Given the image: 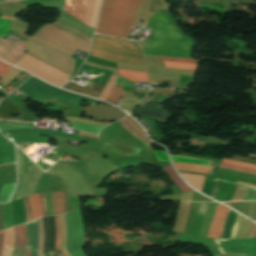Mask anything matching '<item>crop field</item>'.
Listing matches in <instances>:
<instances>
[{"label": "crop field", "instance_id": "5142ce71", "mask_svg": "<svg viewBox=\"0 0 256 256\" xmlns=\"http://www.w3.org/2000/svg\"><path fill=\"white\" fill-rule=\"evenodd\" d=\"M10 135H18V134H45V135H53L65 139H76L79 140V138L76 135L61 132V131H54V130H35V129H18V130H11V131H5ZM80 141V140H79Z\"/></svg>", "mask_w": 256, "mask_h": 256}, {"label": "crop field", "instance_id": "d23c7cc5", "mask_svg": "<svg viewBox=\"0 0 256 256\" xmlns=\"http://www.w3.org/2000/svg\"><path fill=\"white\" fill-rule=\"evenodd\" d=\"M239 217H240V215H237L236 220H235V223H234V226H233L231 239H235V230H236V226H237Z\"/></svg>", "mask_w": 256, "mask_h": 256}, {"label": "crop field", "instance_id": "1d83c4d3", "mask_svg": "<svg viewBox=\"0 0 256 256\" xmlns=\"http://www.w3.org/2000/svg\"><path fill=\"white\" fill-rule=\"evenodd\" d=\"M56 221V243H55V251L58 256H64L61 251L59 250V243H60V218L59 215L55 216Z\"/></svg>", "mask_w": 256, "mask_h": 256}, {"label": "crop field", "instance_id": "028f5c9d", "mask_svg": "<svg viewBox=\"0 0 256 256\" xmlns=\"http://www.w3.org/2000/svg\"><path fill=\"white\" fill-rule=\"evenodd\" d=\"M220 167L256 174V171L244 169V168H240V167H235V166H231V165H227V164H223V163H221Z\"/></svg>", "mask_w": 256, "mask_h": 256}, {"label": "crop field", "instance_id": "4177f3b9", "mask_svg": "<svg viewBox=\"0 0 256 256\" xmlns=\"http://www.w3.org/2000/svg\"><path fill=\"white\" fill-rule=\"evenodd\" d=\"M165 170L167 171V173L170 175V177L172 178V180L175 182V184L178 186V188L182 191H191L190 188H188L182 181L181 179L178 177V175L175 173V171L172 169L171 165L165 167Z\"/></svg>", "mask_w": 256, "mask_h": 256}, {"label": "crop field", "instance_id": "1d79db26", "mask_svg": "<svg viewBox=\"0 0 256 256\" xmlns=\"http://www.w3.org/2000/svg\"><path fill=\"white\" fill-rule=\"evenodd\" d=\"M245 256H256V254H245Z\"/></svg>", "mask_w": 256, "mask_h": 256}, {"label": "crop field", "instance_id": "e52e79f7", "mask_svg": "<svg viewBox=\"0 0 256 256\" xmlns=\"http://www.w3.org/2000/svg\"><path fill=\"white\" fill-rule=\"evenodd\" d=\"M29 54L32 56L68 73H71L74 70V59L69 58L61 53H58L48 47L37 44L33 41H29L28 48Z\"/></svg>", "mask_w": 256, "mask_h": 256}, {"label": "crop field", "instance_id": "c21b1889", "mask_svg": "<svg viewBox=\"0 0 256 256\" xmlns=\"http://www.w3.org/2000/svg\"><path fill=\"white\" fill-rule=\"evenodd\" d=\"M244 200H256V191L248 189Z\"/></svg>", "mask_w": 256, "mask_h": 256}, {"label": "crop field", "instance_id": "34b2d1b8", "mask_svg": "<svg viewBox=\"0 0 256 256\" xmlns=\"http://www.w3.org/2000/svg\"><path fill=\"white\" fill-rule=\"evenodd\" d=\"M92 56L115 63L144 66L141 49L135 42L95 35Z\"/></svg>", "mask_w": 256, "mask_h": 256}, {"label": "crop field", "instance_id": "0fb4a251", "mask_svg": "<svg viewBox=\"0 0 256 256\" xmlns=\"http://www.w3.org/2000/svg\"><path fill=\"white\" fill-rule=\"evenodd\" d=\"M178 172H182V171H178ZM182 173H190V172H182ZM190 174H197V173H190ZM200 175H205V174H200Z\"/></svg>", "mask_w": 256, "mask_h": 256}, {"label": "crop field", "instance_id": "5866460e", "mask_svg": "<svg viewBox=\"0 0 256 256\" xmlns=\"http://www.w3.org/2000/svg\"><path fill=\"white\" fill-rule=\"evenodd\" d=\"M224 163H228V164H232V165H236V166H240V167H246V168H252V169H256V165H252V164H246V163H240V162H235L233 160H228V159H223Z\"/></svg>", "mask_w": 256, "mask_h": 256}, {"label": "crop field", "instance_id": "bc2a9ffb", "mask_svg": "<svg viewBox=\"0 0 256 256\" xmlns=\"http://www.w3.org/2000/svg\"><path fill=\"white\" fill-rule=\"evenodd\" d=\"M177 170L212 174L213 167L173 162Z\"/></svg>", "mask_w": 256, "mask_h": 256}, {"label": "crop field", "instance_id": "e1f06a70", "mask_svg": "<svg viewBox=\"0 0 256 256\" xmlns=\"http://www.w3.org/2000/svg\"><path fill=\"white\" fill-rule=\"evenodd\" d=\"M117 123H120L124 129L133 134L135 137L141 139V137L123 119L117 121Z\"/></svg>", "mask_w": 256, "mask_h": 256}, {"label": "crop field", "instance_id": "120bbe31", "mask_svg": "<svg viewBox=\"0 0 256 256\" xmlns=\"http://www.w3.org/2000/svg\"><path fill=\"white\" fill-rule=\"evenodd\" d=\"M20 72H21V70H16V69L13 68L7 75H5V76L0 80V82L6 86V85H7L13 78H15Z\"/></svg>", "mask_w": 256, "mask_h": 256}, {"label": "crop field", "instance_id": "412701ff", "mask_svg": "<svg viewBox=\"0 0 256 256\" xmlns=\"http://www.w3.org/2000/svg\"><path fill=\"white\" fill-rule=\"evenodd\" d=\"M31 40L69 57L77 50L88 52L90 43L51 24L42 27Z\"/></svg>", "mask_w": 256, "mask_h": 256}, {"label": "crop field", "instance_id": "f4fd0767", "mask_svg": "<svg viewBox=\"0 0 256 256\" xmlns=\"http://www.w3.org/2000/svg\"><path fill=\"white\" fill-rule=\"evenodd\" d=\"M18 90L27 93L26 97L29 98H56L63 99L71 103L79 104L82 96L67 93L59 90L55 87L47 85L33 77H31L26 83H24Z\"/></svg>", "mask_w": 256, "mask_h": 256}, {"label": "crop field", "instance_id": "eef30255", "mask_svg": "<svg viewBox=\"0 0 256 256\" xmlns=\"http://www.w3.org/2000/svg\"><path fill=\"white\" fill-rule=\"evenodd\" d=\"M72 127L73 128H77V129H81V130H86V131L98 133L99 130L103 126H99V125H95V124H91V123H85V122L76 121Z\"/></svg>", "mask_w": 256, "mask_h": 256}, {"label": "crop field", "instance_id": "425ffa30", "mask_svg": "<svg viewBox=\"0 0 256 256\" xmlns=\"http://www.w3.org/2000/svg\"><path fill=\"white\" fill-rule=\"evenodd\" d=\"M64 207H65V213L68 212L69 206H68V197L66 193H64Z\"/></svg>", "mask_w": 256, "mask_h": 256}, {"label": "crop field", "instance_id": "5a996713", "mask_svg": "<svg viewBox=\"0 0 256 256\" xmlns=\"http://www.w3.org/2000/svg\"><path fill=\"white\" fill-rule=\"evenodd\" d=\"M87 0H65L63 11L82 21ZM101 0H89L84 21L87 26L95 25L96 17L99 11Z\"/></svg>", "mask_w": 256, "mask_h": 256}, {"label": "crop field", "instance_id": "00972430", "mask_svg": "<svg viewBox=\"0 0 256 256\" xmlns=\"http://www.w3.org/2000/svg\"><path fill=\"white\" fill-rule=\"evenodd\" d=\"M121 76L131 80V81H144L148 82L147 74L142 72H134V71H124L119 70Z\"/></svg>", "mask_w": 256, "mask_h": 256}, {"label": "crop field", "instance_id": "d32e631a", "mask_svg": "<svg viewBox=\"0 0 256 256\" xmlns=\"http://www.w3.org/2000/svg\"><path fill=\"white\" fill-rule=\"evenodd\" d=\"M12 21L0 19V35L5 36Z\"/></svg>", "mask_w": 256, "mask_h": 256}, {"label": "crop field", "instance_id": "ae1a2a85", "mask_svg": "<svg viewBox=\"0 0 256 256\" xmlns=\"http://www.w3.org/2000/svg\"><path fill=\"white\" fill-rule=\"evenodd\" d=\"M182 177L188 181L192 187L196 188V189H200V185H201V181H202V178L203 176H199V175H190V174H182ZM205 178V177H204ZM203 182H204V179L202 181V185H203ZM201 185V187H202ZM201 190V189H200Z\"/></svg>", "mask_w": 256, "mask_h": 256}, {"label": "crop field", "instance_id": "1f2cbd36", "mask_svg": "<svg viewBox=\"0 0 256 256\" xmlns=\"http://www.w3.org/2000/svg\"><path fill=\"white\" fill-rule=\"evenodd\" d=\"M255 224H252V227H251V231H250V234H249V237L248 238H252V234H253V231L255 229Z\"/></svg>", "mask_w": 256, "mask_h": 256}, {"label": "crop field", "instance_id": "447ae74e", "mask_svg": "<svg viewBox=\"0 0 256 256\" xmlns=\"http://www.w3.org/2000/svg\"><path fill=\"white\" fill-rule=\"evenodd\" d=\"M7 1H13V0H7Z\"/></svg>", "mask_w": 256, "mask_h": 256}, {"label": "crop field", "instance_id": "d1516ede", "mask_svg": "<svg viewBox=\"0 0 256 256\" xmlns=\"http://www.w3.org/2000/svg\"><path fill=\"white\" fill-rule=\"evenodd\" d=\"M43 172L44 171H42L35 165L34 162H32L15 200L33 193Z\"/></svg>", "mask_w": 256, "mask_h": 256}, {"label": "crop field", "instance_id": "4a817a6b", "mask_svg": "<svg viewBox=\"0 0 256 256\" xmlns=\"http://www.w3.org/2000/svg\"><path fill=\"white\" fill-rule=\"evenodd\" d=\"M144 54L190 59L192 52L159 50V49L144 47Z\"/></svg>", "mask_w": 256, "mask_h": 256}, {"label": "crop field", "instance_id": "750c4746", "mask_svg": "<svg viewBox=\"0 0 256 256\" xmlns=\"http://www.w3.org/2000/svg\"><path fill=\"white\" fill-rule=\"evenodd\" d=\"M15 184L4 185L1 193H0V203H5L9 201L11 193L14 189Z\"/></svg>", "mask_w": 256, "mask_h": 256}, {"label": "crop field", "instance_id": "d3111659", "mask_svg": "<svg viewBox=\"0 0 256 256\" xmlns=\"http://www.w3.org/2000/svg\"><path fill=\"white\" fill-rule=\"evenodd\" d=\"M28 128V123L0 120V130Z\"/></svg>", "mask_w": 256, "mask_h": 256}, {"label": "crop field", "instance_id": "9d1cf04e", "mask_svg": "<svg viewBox=\"0 0 256 256\" xmlns=\"http://www.w3.org/2000/svg\"><path fill=\"white\" fill-rule=\"evenodd\" d=\"M238 182V181H237ZM239 183H242V182H239ZM243 184H246V183H243ZM246 185H249V186H254V185H250V184H246ZM256 187V186H255Z\"/></svg>", "mask_w": 256, "mask_h": 256}, {"label": "crop field", "instance_id": "b54c1fbb", "mask_svg": "<svg viewBox=\"0 0 256 256\" xmlns=\"http://www.w3.org/2000/svg\"><path fill=\"white\" fill-rule=\"evenodd\" d=\"M60 214L64 213L63 192H58Z\"/></svg>", "mask_w": 256, "mask_h": 256}, {"label": "crop field", "instance_id": "b80d0937", "mask_svg": "<svg viewBox=\"0 0 256 256\" xmlns=\"http://www.w3.org/2000/svg\"><path fill=\"white\" fill-rule=\"evenodd\" d=\"M54 214H59L57 192L52 193Z\"/></svg>", "mask_w": 256, "mask_h": 256}, {"label": "crop field", "instance_id": "92a150f3", "mask_svg": "<svg viewBox=\"0 0 256 256\" xmlns=\"http://www.w3.org/2000/svg\"><path fill=\"white\" fill-rule=\"evenodd\" d=\"M101 149L129 154V155H138L140 150L136 148H129V147L119 146V145L110 144V143H104Z\"/></svg>", "mask_w": 256, "mask_h": 256}, {"label": "crop field", "instance_id": "c035e120", "mask_svg": "<svg viewBox=\"0 0 256 256\" xmlns=\"http://www.w3.org/2000/svg\"><path fill=\"white\" fill-rule=\"evenodd\" d=\"M44 216L48 215L45 193L40 194Z\"/></svg>", "mask_w": 256, "mask_h": 256}, {"label": "crop field", "instance_id": "dafd665d", "mask_svg": "<svg viewBox=\"0 0 256 256\" xmlns=\"http://www.w3.org/2000/svg\"><path fill=\"white\" fill-rule=\"evenodd\" d=\"M113 86H122L119 81V78L115 81ZM121 92H122V87H112V89L110 90L105 100L118 105Z\"/></svg>", "mask_w": 256, "mask_h": 256}, {"label": "crop field", "instance_id": "d9b57169", "mask_svg": "<svg viewBox=\"0 0 256 256\" xmlns=\"http://www.w3.org/2000/svg\"><path fill=\"white\" fill-rule=\"evenodd\" d=\"M33 219L42 217V208L39 194L29 196ZM28 196L24 198L26 206L27 221L32 220Z\"/></svg>", "mask_w": 256, "mask_h": 256}, {"label": "crop field", "instance_id": "28ad6ade", "mask_svg": "<svg viewBox=\"0 0 256 256\" xmlns=\"http://www.w3.org/2000/svg\"><path fill=\"white\" fill-rule=\"evenodd\" d=\"M39 227V243H38V228L36 220L27 223V236L28 244L26 247H33L32 256H45L43 253V239H44V229L42 218L37 219ZM37 243H38V253H37Z\"/></svg>", "mask_w": 256, "mask_h": 256}, {"label": "crop field", "instance_id": "214f88e0", "mask_svg": "<svg viewBox=\"0 0 256 256\" xmlns=\"http://www.w3.org/2000/svg\"><path fill=\"white\" fill-rule=\"evenodd\" d=\"M13 239H14L13 228L4 230V241H3L1 256H11Z\"/></svg>", "mask_w": 256, "mask_h": 256}, {"label": "crop field", "instance_id": "0bd39190", "mask_svg": "<svg viewBox=\"0 0 256 256\" xmlns=\"http://www.w3.org/2000/svg\"><path fill=\"white\" fill-rule=\"evenodd\" d=\"M153 92L168 94V95H172V96H176V93H179V94L182 93V92H176V91H171V90H166V89H161V88H156V87H154Z\"/></svg>", "mask_w": 256, "mask_h": 256}, {"label": "crop field", "instance_id": "ac0d7876", "mask_svg": "<svg viewBox=\"0 0 256 256\" xmlns=\"http://www.w3.org/2000/svg\"><path fill=\"white\" fill-rule=\"evenodd\" d=\"M170 14L160 10L151 16L146 27L152 28V39L145 46L192 51L194 39L185 36Z\"/></svg>", "mask_w": 256, "mask_h": 256}, {"label": "crop field", "instance_id": "5d738f31", "mask_svg": "<svg viewBox=\"0 0 256 256\" xmlns=\"http://www.w3.org/2000/svg\"><path fill=\"white\" fill-rule=\"evenodd\" d=\"M11 67L0 62V78L10 69Z\"/></svg>", "mask_w": 256, "mask_h": 256}, {"label": "crop field", "instance_id": "25e5ab78", "mask_svg": "<svg viewBox=\"0 0 256 256\" xmlns=\"http://www.w3.org/2000/svg\"><path fill=\"white\" fill-rule=\"evenodd\" d=\"M31 249L32 248H25L23 252V256H31Z\"/></svg>", "mask_w": 256, "mask_h": 256}, {"label": "crop field", "instance_id": "cbeb9de0", "mask_svg": "<svg viewBox=\"0 0 256 256\" xmlns=\"http://www.w3.org/2000/svg\"><path fill=\"white\" fill-rule=\"evenodd\" d=\"M15 239L12 249V256H22L23 249L27 243L25 224L14 227Z\"/></svg>", "mask_w": 256, "mask_h": 256}, {"label": "crop field", "instance_id": "dbb93151", "mask_svg": "<svg viewBox=\"0 0 256 256\" xmlns=\"http://www.w3.org/2000/svg\"><path fill=\"white\" fill-rule=\"evenodd\" d=\"M2 241H3V231L0 232V251H1Z\"/></svg>", "mask_w": 256, "mask_h": 256}, {"label": "crop field", "instance_id": "dd49c442", "mask_svg": "<svg viewBox=\"0 0 256 256\" xmlns=\"http://www.w3.org/2000/svg\"><path fill=\"white\" fill-rule=\"evenodd\" d=\"M235 212L229 210L228 216L225 220L222 237L224 239H228V241H217L218 244L221 246L224 254L227 253H256V239H237V240H230V232L234 223V219L236 217ZM224 239H214L215 240H224ZM216 245L222 252L220 246ZM222 252V254H223Z\"/></svg>", "mask_w": 256, "mask_h": 256}, {"label": "crop field", "instance_id": "22f410ed", "mask_svg": "<svg viewBox=\"0 0 256 256\" xmlns=\"http://www.w3.org/2000/svg\"><path fill=\"white\" fill-rule=\"evenodd\" d=\"M228 210V208L217 204L211 227L207 236L208 238H220L222 225Z\"/></svg>", "mask_w": 256, "mask_h": 256}, {"label": "crop field", "instance_id": "8a807250", "mask_svg": "<svg viewBox=\"0 0 256 256\" xmlns=\"http://www.w3.org/2000/svg\"><path fill=\"white\" fill-rule=\"evenodd\" d=\"M143 0H104L96 33L127 38Z\"/></svg>", "mask_w": 256, "mask_h": 256}, {"label": "crop field", "instance_id": "733c2abd", "mask_svg": "<svg viewBox=\"0 0 256 256\" xmlns=\"http://www.w3.org/2000/svg\"><path fill=\"white\" fill-rule=\"evenodd\" d=\"M159 60L164 62L166 67L191 69L196 70L198 60H185V59H174V58H163L158 57Z\"/></svg>", "mask_w": 256, "mask_h": 256}, {"label": "crop field", "instance_id": "bd1437ed", "mask_svg": "<svg viewBox=\"0 0 256 256\" xmlns=\"http://www.w3.org/2000/svg\"><path fill=\"white\" fill-rule=\"evenodd\" d=\"M171 156H172V160L177 161V162H186V163H196V164L210 165V161H207V160L179 157V156H173V155H171Z\"/></svg>", "mask_w": 256, "mask_h": 256}, {"label": "crop field", "instance_id": "73cf0c24", "mask_svg": "<svg viewBox=\"0 0 256 256\" xmlns=\"http://www.w3.org/2000/svg\"><path fill=\"white\" fill-rule=\"evenodd\" d=\"M218 187H219V186H217V185L214 186L213 191H212L210 197L215 198V195H216V192H217V190H218Z\"/></svg>", "mask_w": 256, "mask_h": 256}, {"label": "crop field", "instance_id": "3316defc", "mask_svg": "<svg viewBox=\"0 0 256 256\" xmlns=\"http://www.w3.org/2000/svg\"><path fill=\"white\" fill-rule=\"evenodd\" d=\"M26 42L15 40L13 42L0 38V58L15 65L25 55Z\"/></svg>", "mask_w": 256, "mask_h": 256}, {"label": "crop field", "instance_id": "89e229c0", "mask_svg": "<svg viewBox=\"0 0 256 256\" xmlns=\"http://www.w3.org/2000/svg\"><path fill=\"white\" fill-rule=\"evenodd\" d=\"M3 230V224H2V213H1V204H0V231Z\"/></svg>", "mask_w": 256, "mask_h": 256}, {"label": "crop field", "instance_id": "730fd06b", "mask_svg": "<svg viewBox=\"0 0 256 256\" xmlns=\"http://www.w3.org/2000/svg\"><path fill=\"white\" fill-rule=\"evenodd\" d=\"M4 229L12 225V211L10 203L2 204Z\"/></svg>", "mask_w": 256, "mask_h": 256}, {"label": "crop field", "instance_id": "03da06ac", "mask_svg": "<svg viewBox=\"0 0 256 256\" xmlns=\"http://www.w3.org/2000/svg\"><path fill=\"white\" fill-rule=\"evenodd\" d=\"M158 160H164V161H169L167 158L166 152L163 151H154Z\"/></svg>", "mask_w": 256, "mask_h": 256}, {"label": "crop field", "instance_id": "d8731c3e", "mask_svg": "<svg viewBox=\"0 0 256 256\" xmlns=\"http://www.w3.org/2000/svg\"><path fill=\"white\" fill-rule=\"evenodd\" d=\"M17 66L28 70L29 72L49 81L58 86L64 85L70 75L55 69L29 55H26Z\"/></svg>", "mask_w": 256, "mask_h": 256}, {"label": "crop field", "instance_id": "a9b5d70f", "mask_svg": "<svg viewBox=\"0 0 256 256\" xmlns=\"http://www.w3.org/2000/svg\"><path fill=\"white\" fill-rule=\"evenodd\" d=\"M15 142H34V143H47L49 144V137L43 136H18L12 137Z\"/></svg>", "mask_w": 256, "mask_h": 256}]
</instances>
